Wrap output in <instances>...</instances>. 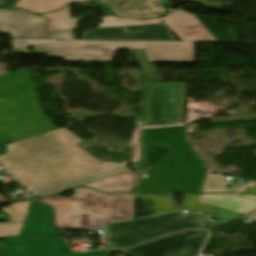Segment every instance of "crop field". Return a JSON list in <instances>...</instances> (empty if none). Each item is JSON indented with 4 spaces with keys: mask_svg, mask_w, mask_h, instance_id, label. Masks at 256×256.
Returning <instances> with one entry per match:
<instances>
[{
    "mask_svg": "<svg viewBox=\"0 0 256 256\" xmlns=\"http://www.w3.org/2000/svg\"><path fill=\"white\" fill-rule=\"evenodd\" d=\"M188 126L144 129V147L170 149L169 156L160 160L141 178L136 194H184L200 192L208 167L186 140Z\"/></svg>",
    "mask_w": 256,
    "mask_h": 256,
    "instance_id": "1",
    "label": "crop field"
},
{
    "mask_svg": "<svg viewBox=\"0 0 256 256\" xmlns=\"http://www.w3.org/2000/svg\"><path fill=\"white\" fill-rule=\"evenodd\" d=\"M15 52L64 57L66 62H110L117 49L144 48L149 62L194 63L193 43L11 40Z\"/></svg>",
    "mask_w": 256,
    "mask_h": 256,
    "instance_id": "2",
    "label": "crop field"
},
{
    "mask_svg": "<svg viewBox=\"0 0 256 256\" xmlns=\"http://www.w3.org/2000/svg\"><path fill=\"white\" fill-rule=\"evenodd\" d=\"M36 96L25 71L0 76V145L55 128Z\"/></svg>",
    "mask_w": 256,
    "mask_h": 256,
    "instance_id": "3",
    "label": "crop field"
},
{
    "mask_svg": "<svg viewBox=\"0 0 256 256\" xmlns=\"http://www.w3.org/2000/svg\"><path fill=\"white\" fill-rule=\"evenodd\" d=\"M56 208V222L62 228L89 231L103 222L129 219L132 195H106L87 188L74 189V199L51 196L41 199Z\"/></svg>",
    "mask_w": 256,
    "mask_h": 256,
    "instance_id": "4",
    "label": "crop field"
},
{
    "mask_svg": "<svg viewBox=\"0 0 256 256\" xmlns=\"http://www.w3.org/2000/svg\"><path fill=\"white\" fill-rule=\"evenodd\" d=\"M127 164L100 162L80 149L9 172L28 192H36Z\"/></svg>",
    "mask_w": 256,
    "mask_h": 256,
    "instance_id": "5",
    "label": "crop field"
},
{
    "mask_svg": "<svg viewBox=\"0 0 256 256\" xmlns=\"http://www.w3.org/2000/svg\"><path fill=\"white\" fill-rule=\"evenodd\" d=\"M5 238L9 246H0V256H105V251L70 254L53 225L52 209L33 199L20 235Z\"/></svg>",
    "mask_w": 256,
    "mask_h": 256,
    "instance_id": "6",
    "label": "crop field"
},
{
    "mask_svg": "<svg viewBox=\"0 0 256 256\" xmlns=\"http://www.w3.org/2000/svg\"><path fill=\"white\" fill-rule=\"evenodd\" d=\"M202 212L184 216L181 210L166 212L134 221L105 225L107 248L124 249L181 229L202 228Z\"/></svg>",
    "mask_w": 256,
    "mask_h": 256,
    "instance_id": "7",
    "label": "crop field"
},
{
    "mask_svg": "<svg viewBox=\"0 0 256 256\" xmlns=\"http://www.w3.org/2000/svg\"><path fill=\"white\" fill-rule=\"evenodd\" d=\"M81 141L68 130L61 128L7 146L0 156V165L12 169L65 151L78 148Z\"/></svg>",
    "mask_w": 256,
    "mask_h": 256,
    "instance_id": "8",
    "label": "crop field"
},
{
    "mask_svg": "<svg viewBox=\"0 0 256 256\" xmlns=\"http://www.w3.org/2000/svg\"><path fill=\"white\" fill-rule=\"evenodd\" d=\"M145 126L182 123L185 83L152 84Z\"/></svg>",
    "mask_w": 256,
    "mask_h": 256,
    "instance_id": "9",
    "label": "crop field"
},
{
    "mask_svg": "<svg viewBox=\"0 0 256 256\" xmlns=\"http://www.w3.org/2000/svg\"><path fill=\"white\" fill-rule=\"evenodd\" d=\"M49 19L23 10H0V31L12 38L72 39V31L46 32Z\"/></svg>",
    "mask_w": 256,
    "mask_h": 256,
    "instance_id": "10",
    "label": "crop field"
},
{
    "mask_svg": "<svg viewBox=\"0 0 256 256\" xmlns=\"http://www.w3.org/2000/svg\"><path fill=\"white\" fill-rule=\"evenodd\" d=\"M207 232L184 231L125 251L129 256H198Z\"/></svg>",
    "mask_w": 256,
    "mask_h": 256,
    "instance_id": "11",
    "label": "crop field"
},
{
    "mask_svg": "<svg viewBox=\"0 0 256 256\" xmlns=\"http://www.w3.org/2000/svg\"><path fill=\"white\" fill-rule=\"evenodd\" d=\"M169 30L165 23L94 29L89 33H84L83 40L176 41L171 37ZM126 31H129L131 34L127 35Z\"/></svg>",
    "mask_w": 256,
    "mask_h": 256,
    "instance_id": "12",
    "label": "crop field"
},
{
    "mask_svg": "<svg viewBox=\"0 0 256 256\" xmlns=\"http://www.w3.org/2000/svg\"><path fill=\"white\" fill-rule=\"evenodd\" d=\"M168 27L181 41H216L210 32L191 14L178 10L164 17Z\"/></svg>",
    "mask_w": 256,
    "mask_h": 256,
    "instance_id": "13",
    "label": "crop field"
},
{
    "mask_svg": "<svg viewBox=\"0 0 256 256\" xmlns=\"http://www.w3.org/2000/svg\"><path fill=\"white\" fill-rule=\"evenodd\" d=\"M108 4L110 8L119 16L132 18L157 17L164 13L159 0H101Z\"/></svg>",
    "mask_w": 256,
    "mask_h": 256,
    "instance_id": "14",
    "label": "crop field"
},
{
    "mask_svg": "<svg viewBox=\"0 0 256 256\" xmlns=\"http://www.w3.org/2000/svg\"><path fill=\"white\" fill-rule=\"evenodd\" d=\"M199 202L243 215L256 208V201L230 194H201Z\"/></svg>",
    "mask_w": 256,
    "mask_h": 256,
    "instance_id": "15",
    "label": "crop field"
},
{
    "mask_svg": "<svg viewBox=\"0 0 256 256\" xmlns=\"http://www.w3.org/2000/svg\"><path fill=\"white\" fill-rule=\"evenodd\" d=\"M138 177L139 175L128 171L93 183L86 184V186L107 193L119 191L130 192L135 187Z\"/></svg>",
    "mask_w": 256,
    "mask_h": 256,
    "instance_id": "16",
    "label": "crop field"
},
{
    "mask_svg": "<svg viewBox=\"0 0 256 256\" xmlns=\"http://www.w3.org/2000/svg\"><path fill=\"white\" fill-rule=\"evenodd\" d=\"M199 195L200 194L185 195L183 208H186L190 213L200 211L201 209L198 205ZM135 199H152V201L155 203L156 214L166 211L177 210L175 209V204L173 203L172 195L166 197L141 195L135 196Z\"/></svg>",
    "mask_w": 256,
    "mask_h": 256,
    "instance_id": "17",
    "label": "crop field"
},
{
    "mask_svg": "<svg viewBox=\"0 0 256 256\" xmlns=\"http://www.w3.org/2000/svg\"><path fill=\"white\" fill-rule=\"evenodd\" d=\"M125 171H128V169L125 168L124 166H122V167H119V168H115V169H112V170H109V171H105V172H102V173H99V174H96V175L86 177V178H83V179H79V180H76V181H73V182H69V183H66V184H63V185H60V186H57V187H54V188L36 193V194H33V195H30V196L42 197V196H46V195L57 194L61 191L68 190V189H71V188H74V187H77V186H80V185H83V184H86V183H89V182H93V181H96V180H99V179H102V178H105V177H108V176H112V175H115V174H118V173H121V172H125Z\"/></svg>",
    "mask_w": 256,
    "mask_h": 256,
    "instance_id": "18",
    "label": "crop field"
},
{
    "mask_svg": "<svg viewBox=\"0 0 256 256\" xmlns=\"http://www.w3.org/2000/svg\"><path fill=\"white\" fill-rule=\"evenodd\" d=\"M89 0H19L15 6L31 12H46L55 10L70 2H87Z\"/></svg>",
    "mask_w": 256,
    "mask_h": 256,
    "instance_id": "19",
    "label": "crop field"
},
{
    "mask_svg": "<svg viewBox=\"0 0 256 256\" xmlns=\"http://www.w3.org/2000/svg\"><path fill=\"white\" fill-rule=\"evenodd\" d=\"M50 18L47 31L73 30L75 28L76 19L70 18L69 8L59 11L42 14Z\"/></svg>",
    "mask_w": 256,
    "mask_h": 256,
    "instance_id": "20",
    "label": "crop field"
},
{
    "mask_svg": "<svg viewBox=\"0 0 256 256\" xmlns=\"http://www.w3.org/2000/svg\"><path fill=\"white\" fill-rule=\"evenodd\" d=\"M225 186L226 176L207 174L201 193L229 192L241 185L236 184L228 189H225Z\"/></svg>",
    "mask_w": 256,
    "mask_h": 256,
    "instance_id": "21",
    "label": "crop field"
},
{
    "mask_svg": "<svg viewBox=\"0 0 256 256\" xmlns=\"http://www.w3.org/2000/svg\"><path fill=\"white\" fill-rule=\"evenodd\" d=\"M102 20H103V22L100 25H98L97 28L161 23L162 18H160V19L131 20V19L114 17V16H105V17L102 18Z\"/></svg>",
    "mask_w": 256,
    "mask_h": 256,
    "instance_id": "22",
    "label": "crop field"
},
{
    "mask_svg": "<svg viewBox=\"0 0 256 256\" xmlns=\"http://www.w3.org/2000/svg\"><path fill=\"white\" fill-rule=\"evenodd\" d=\"M28 202H18L6 208H1V211L9 216L8 222H23L27 212Z\"/></svg>",
    "mask_w": 256,
    "mask_h": 256,
    "instance_id": "23",
    "label": "crop field"
},
{
    "mask_svg": "<svg viewBox=\"0 0 256 256\" xmlns=\"http://www.w3.org/2000/svg\"><path fill=\"white\" fill-rule=\"evenodd\" d=\"M23 223H0V237L18 235Z\"/></svg>",
    "mask_w": 256,
    "mask_h": 256,
    "instance_id": "24",
    "label": "crop field"
},
{
    "mask_svg": "<svg viewBox=\"0 0 256 256\" xmlns=\"http://www.w3.org/2000/svg\"><path fill=\"white\" fill-rule=\"evenodd\" d=\"M17 2V0H5L1 6H4L5 8H17L14 6V4Z\"/></svg>",
    "mask_w": 256,
    "mask_h": 256,
    "instance_id": "25",
    "label": "crop field"
},
{
    "mask_svg": "<svg viewBox=\"0 0 256 256\" xmlns=\"http://www.w3.org/2000/svg\"><path fill=\"white\" fill-rule=\"evenodd\" d=\"M255 185H256V181H253V182H251V183H249L247 185H244V186H242V187H240V188H238V189H236L234 191L239 192V193H243V192L246 191L247 188L253 187Z\"/></svg>",
    "mask_w": 256,
    "mask_h": 256,
    "instance_id": "26",
    "label": "crop field"
},
{
    "mask_svg": "<svg viewBox=\"0 0 256 256\" xmlns=\"http://www.w3.org/2000/svg\"><path fill=\"white\" fill-rule=\"evenodd\" d=\"M7 73L6 64L0 63V75Z\"/></svg>",
    "mask_w": 256,
    "mask_h": 256,
    "instance_id": "27",
    "label": "crop field"
},
{
    "mask_svg": "<svg viewBox=\"0 0 256 256\" xmlns=\"http://www.w3.org/2000/svg\"><path fill=\"white\" fill-rule=\"evenodd\" d=\"M245 218H248V219H252V220H256V212L246 216Z\"/></svg>",
    "mask_w": 256,
    "mask_h": 256,
    "instance_id": "28",
    "label": "crop field"
},
{
    "mask_svg": "<svg viewBox=\"0 0 256 256\" xmlns=\"http://www.w3.org/2000/svg\"><path fill=\"white\" fill-rule=\"evenodd\" d=\"M245 193H252V194H255L256 195V186L249 189L248 191H246Z\"/></svg>",
    "mask_w": 256,
    "mask_h": 256,
    "instance_id": "29",
    "label": "crop field"
},
{
    "mask_svg": "<svg viewBox=\"0 0 256 256\" xmlns=\"http://www.w3.org/2000/svg\"><path fill=\"white\" fill-rule=\"evenodd\" d=\"M240 196L256 200V196H254V195H240Z\"/></svg>",
    "mask_w": 256,
    "mask_h": 256,
    "instance_id": "30",
    "label": "crop field"
}]
</instances>
